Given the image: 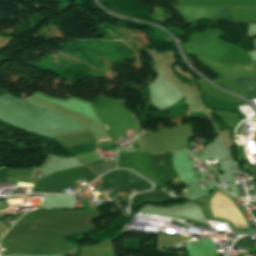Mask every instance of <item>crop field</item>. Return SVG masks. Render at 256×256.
I'll list each match as a JSON object with an SVG mask.
<instances>
[{"label": "crop field", "instance_id": "obj_1", "mask_svg": "<svg viewBox=\"0 0 256 256\" xmlns=\"http://www.w3.org/2000/svg\"><path fill=\"white\" fill-rule=\"evenodd\" d=\"M175 9L184 23L207 19L233 21L228 8L179 7Z\"/></svg>", "mask_w": 256, "mask_h": 256}, {"label": "crop field", "instance_id": "obj_2", "mask_svg": "<svg viewBox=\"0 0 256 256\" xmlns=\"http://www.w3.org/2000/svg\"><path fill=\"white\" fill-rule=\"evenodd\" d=\"M0 102H3L7 105L15 107L33 117H35V118L40 117L42 114H44L46 112V110L34 107L22 100H19L15 97L8 96L6 94L0 96Z\"/></svg>", "mask_w": 256, "mask_h": 256}, {"label": "crop field", "instance_id": "obj_3", "mask_svg": "<svg viewBox=\"0 0 256 256\" xmlns=\"http://www.w3.org/2000/svg\"><path fill=\"white\" fill-rule=\"evenodd\" d=\"M115 165H116V161L100 160V161L86 164L85 166L88 167L98 177L102 173L108 170L114 169Z\"/></svg>", "mask_w": 256, "mask_h": 256}, {"label": "crop field", "instance_id": "obj_4", "mask_svg": "<svg viewBox=\"0 0 256 256\" xmlns=\"http://www.w3.org/2000/svg\"><path fill=\"white\" fill-rule=\"evenodd\" d=\"M248 94L256 93V79H233Z\"/></svg>", "mask_w": 256, "mask_h": 256}, {"label": "crop field", "instance_id": "obj_5", "mask_svg": "<svg viewBox=\"0 0 256 256\" xmlns=\"http://www.w3.org/2000/svg\"><path fill=\"white\" fill-rule=\"evenodd\" d=\"M108 140H111V139L101 140V141H98V142L108 141ZM99 144H100V145H113L111 141H108V142H102V143H99Z\"/></svg>", "mask_w": 256, "mask_h": 256}]
</instances>
